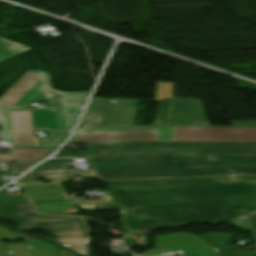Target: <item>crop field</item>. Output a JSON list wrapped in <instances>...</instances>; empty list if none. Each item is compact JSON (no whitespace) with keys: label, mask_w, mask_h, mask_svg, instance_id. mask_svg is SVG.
Listing matches in <instances>:
<instances>
[{"label":"crop field","mask_w":256,"mask_h":256,"mask_svg":"<svg viewBox=\"0 0 256 256\" xmlns=\"http://www.w3.org/2000/svg\"><path fill=\"white\" fill-rule=\"evenodd\" d=\"M157 248L165 252L183 251L187 256H219L217 252L189 233H171L154 236Z\"/></svg>","instance_id":"10"},{"label":"crop field","mask_w":256,"mask_h":256,"mask_svg":"<svg viewBox=\"0 0 256 256\" xmlns=\"http://www.w3.org/2000/svg\"><path fill=\"white\" fill-rule=\"evenodd\" d=\"M88 93L53 90L48 73L29 70L0 97V109L29 108V102L38 101H48V107H82Z\"/></svg>","instance_id":"5"},{"label":"crop field","mask_w":256,"mask_h":256,"mask_svg":"<svg viewBox=\"0 0 256 256\" xmlns=\"http://www.w3.org/2000/svg\"><path fill=\"white\" fill-rule=\"evenodd\" d=\"M125 230L256 213V176L108 182Z\"/></svg>","instance_id":"1"},{"label":"crop field","mask_w":256,"mask_h":256,"mask_svg":"<svg viewBox=\"0 0 256 256\" xmlns=\"http://www.w3.org/2000/svg\"><path fill=\"white\" fill-rule=\"evenodd\" d=\"M93 98L79 128L133 126L140 100H117Z\"/></svg>","instance_id":"6"},{"label":"crop field","mask_w":256,"mask_h":256,"mask_svg":"<svg viewBox=\"0 0 256 256\" xmlns=\"http://www.w3.org/2000/svg\"><path fill=\"white\" fill-rule=\"evenodd\" d=\"M86 157L91 170L30 173L25 177L96 176L102 180L256 174V156L201 155L200 149L147 148L59 153Z\"/></svg>","instance_id":"2"},{"label":"crop field","mask_w":256,"mask_h":256,"mask_svg":"<svg viewBox=\"0 0 256 256\" xmlns=\"http://www.w3.org/2000/svg\"><path fill=\"white\" fill-rule=\"evenodd\" d=\"M35 163H16L14 171L22 172Z\"/></svg>","instance_id":"24"},{"label":"crop field","mask_w":256,"mask_h":256,"mask_svg":"<svg viewBox=\"0 0 256 256\" xmlns=\"http://www.w3.org/2000/svg\"><path fill=\"white\" fill-rule=\"evenodd\" d=\"M248 218H249V221H250L252 227H253L254 230L256 231V215L250 216V217H248Z\"/></svg>","instance_id":"25"},{"label":"crop field","mask_w":256,"mask_h":256,"mask_svg":"<svg viewBox=\"0 0 256 256\" xmlns=\"http://www.w3.org/2000/svg\"><path fill=\"white\" fill-rule=\"evenodd\" d=\"M31 47L23 46L15 42L0 38V60L13 56Z\"/></svg>","instance_id":"13"},{"label":"crop field","mask_w":256,"mask_h":256,"mask_svg":"<svg viewBox=\"0 0 256 256\" xmlns=\"http://www.w3.org/2000/svg\"><path fill=\"white\" fill-rule=\"evenodd\" d=\"M6 248L9 250L12 256H35V254L25 244L8 245Z\"/></svg>","instance_id":"19"},{"label":"crop field","mask_w":256,"mask_h":256,"mask_svg":"<svg viewBox=\"0 0 256 256\" xmlns=\"http://www.w3.org/2000/svg\"><path fill=\"white\" fill-rule=\"evenodd\" d=\"M70 132H62V133H47L46 138L37 139L38 145L41 144H60L63 143L67 138Z\"/></svg>","instance_id":"16"},{"label":"crop field","mask_w":256,"mask_h":256,"mask_svg":"<svg viewBox=\"0 0 256 256\" xmlns=\"http://www.w3.org/2000/svg\"><path fill=\"white\" fill-rule=\"evenodd\" d=\"M3 218L18 221L21 231L42 228L56 239L89 237L90 232L85 219L77 217L56 216L27 220L22 215H11Z\"/></svg>","instance_id":"8"},{"label":"crop field","mask_w":256,"mask_h":256,"mask_svg":"<svg viewBox=\"0 0 256 256\" xmlns=\"http://www.w3.org/2000/svg\"><path fill=\"white\" fill-rule=\"evenodd\" d=\"M231 227H242L246 230H249V227L244 219H236L231 222Z\"/></svg>","instance_id":"22"},{"label":"crop field","mask_w":256,"mask_h":256,"mask_svg":"<svg viewBox=\"0 0 256 256\" xmlns=\"http://www.w3.org/2000/svg\"><path fill=\"white\" fill-rule=\"evenodd\" d=\"M140 256H150V255H166V253L159 249L147 250L141 254Z\"/></svg>","instance_id":"23"},{"label":"crop field","mask_w":256,"mask_h":256,"mask_svg":"<svg viewBox=\"0 0 256 256\" xmlns=\"http://www.w3.org/2000/svg\"><path fill=\"white\" fill-rule=\"evenodd\" d=\"M10 214H23L27 219L37 218V217H48L41 216L35 213L32 204L29 201L1 204L0 205V219H3V215Z\"/></svg>","instance_id":"12"},{"label":"crop field","mask_w":256,"mask_h":256,"mask_svg":"<svg viewBox=\"0 0 256 256\" xmlns=\"http://www.w3.org/2000/svg\"><path fill=\"white\" fill-rule=\"evenodd\" d=\"M90 238H83V239H67V240H57V241H53V240H50L54 243H60V242H63L64 244H69L70 247H65V248H72L74 245L80 243V242H83L85 240H88ZM74 252L78 253V254H81L83 256H88L89 255V249L86 245H82V248L80 249H74Z\"/></svg>","instance_id":"18"},{"label":"crop field","mask_w":256,"mask_h":256,"mask_svg":"<svg viewBox=\"0 0 256 256\" xmlns=\"http://www.w3.org/2000/svg\"><path fill=\"white\" fill-rule=\"evenodd\" d=\"M0 256H9L3 246H0Z\"/></svg>","instance_id":"27"},{"label":"crop field","mask_w":256,"mask_h":256,"mask_svg":"<svg viewBox=\"0 0 256 256\" xmlns=\"http://www.w3.org/2000/svg\"><path fill=\"white\" fill-rule=\"evenodd\" d=\"M81 109L0 111V138L15 146L35 145L33 130H71Z\"/></svg>","instance_id":"4"},{"label":"crop field","mask_w":256,"mask_h":256,"mask_svg":"<svg viewBox=\"0 0 256 256\" xmlns=\"http://www.w3.org/2000/svg\"><path fill=\"white\" fill-rule=\"evenodd\" d=\"M71 159L49 160L35 169L33 172L63 170Z\"/></svg>","instance_id":"14"},{"label":"crop field","mask_w":256,"mask_h":256,"mask_svg":"<svg viewBox=\"0 0 256 256\" xmlns=\"http://www.w3.org/2000/svg\"><path fill=\"white\" fill-rule=\"evenodd\" d=\"M88 150L146 147L201 148V154L256 155V143L129 142L87 144Z\"/></svg>","instance_id":"7"},{"label":"crop field","mask_w":256,"mask_h":256,"mask_svg":"<svg viewBox=\"0 0 256 256\" xmlns=\"http://www.w3.org/2000/svg\"><path fill=\"white\" fill-rule=\"evenodd\" d=\"M56 147L58 146L8 148L10 155H1L0 161H39Z\"/></svg>","instance_id":"11"},{"label":"crop field","mask_w":256,"mask_h":256,"mask_svg":"<svg viewBox=\"0 0 256 256\" xmlns=\"http://www.w3.org/2000/svg\"><path fill=\"white\" fill-rule=\"evenodd\" d=\"M18 234H19V237L21 238V240H22L23 242H25V243H35V244H37V245L47 246L49 250L51 249L50 246L53 245V244H49V243H47V242H40V241H38V240L31 239V238H29V237H27V236H25V235H23V234H21V233H18Z\"/></svg>","instance_id":"21"},{"label":"crop field","mask_w":256,"mask_h":256,"mask_svg":"<svg viewBox=\"0 0 256 256\" xmlns=\"http://www.w3.org/2000/svg\"><path fill=\"white\" fill-rule=\"evenodd\" d=\"M210 123L123 128L78 129L69 143L129 141L256 142V121L233 122L232 128Z\"/></svg>","instance_id":"3"},{"label":"crop field","mask_w":256,"mask_h":256,"mask_svg":"<svg viewBox=\"0 0 256 256\" xmlns=\"http://www.w3.org/2000/svg\"><path fill=\"white\" fill-rule=\"evenodd\" d=\"M207 122L200 100L172 98L161 102L154 125Z\"/></svg>","instance_id":"9"},{"label":"crop field","mask_w":256,"mask_h":256,"mask_svg":"<svg viewBox=\"0 0 256 256\" xmlns=\"http://www.w3.org/2000/svg\"><path fill=\"white\" fill-rule=\"evenodd\" d=\"M18 239L16 233L0 227V240Z\"/></svg>","instance_id":"20"},{"label":"crop field","mask_w":256,"mask_h":256,"mask_svg":"<svg viewBox=\"0 0 256 256\" xmlns=\"http://www.w3.org/2000/svg\"><path fill=\"white\" fill-rule=\"evenodd\" d=\"M175 83H158L155 100H165L173 97Z\"/></svg>","instance_id":"15"},{"label":"crop field","mask_w":256,"mask_h":256,"mask_svg":"<svg viewBox=\"0 0 256 256\" xmlns=\"http://www.w3.org/2000/svg\"><path fill=\"white\" fill-rule=\"evenodd\" d=\"M31 250L37 255V256H58L57 253H56V249L55 247H52L53 250L51 251H48L46 247H41V246H37L35 244H27ZM60 250V255L61 256H67L66 255V251L65 250H62V249H59ZM69 255L70 256H76L72 253L69 252Z\"/></svg>","instance_id":"17"},{"label":"crop field","mask_w":256,"mask_h":256,"mask_svg":"<svg viewBox=\"0 0 256 256\" xmlns=\"http://www.w3.org/2000/svg\"><path fill=\"white\" fill-rule=\"evenodd\" d=\"M30 183H41L40 180L36 181H18V184H30Z\"/></svg>","instance_id":"26"}]
</instances>
